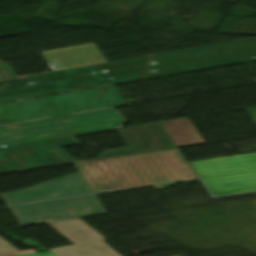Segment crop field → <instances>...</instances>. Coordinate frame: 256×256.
I'll return each mask as SVG.
<instances>
[{
	"label": "crop field",
	"instance_id": "obj_1",
	"mask_svg": "<svg viewBox=\"0 0 256 256\" xmlns=\"http://www.w3.org/2000/svg\"><path fill=\"white\" fill-rule=\"evenodd\" d=\"M218 33L256 35V19L226 18ZM161 56H166L162 59ZM256 60V38L0 81V102ZM183 61V64L178 62Z\"/></svg>",
	"mask_w": 256,
	"mask_h": 256
},
{
	"label": "crop field",
	"instance_id": "obj_2",
	"mask_svg": "<svg viewBox=\"0 0 256 256\" xmlns=\"http://www.w3.org/2000/svg\"><path fill=\"white\" fill-rule=\"evenodd\" d=\"M75 166L94 193L196 177L177 149Z\"/></svg>",
	"mask_w": 256,
	"mask_h": 256
},
{
	"label": "crop field",
	"instance_id": "obj_3",
	"mask_svg": "<svg viewBox=\"0 0 256 256\" xmlns=\"http://www.w3.org/2000/svg\"><path fill=\"white\" fill-rule=\"evenodd\" d=\"M124 104L115 85L0 105V125Z\"/></svg>",
	"mask_w": 256,
	"mask_h": 256
},
{
	"label": "crop field",
	"instance_id": "obj_4",
	"mask_svg": "<svg viewBox=\"0 0 256 256\" xmlns=\"http://www.w3.org/2000/svg\"><path fill=\"white\" fill-rule=\"evenodd\" d=\"M81 133L114 128L116 125L122 124L125 120L118 114V112L112 109L92 111L80 114H74L65 116ZM59 118L74 134L80 133L73 125H71L64 117ZM52 120L67 134L72 133L57 119ZM52 128H50L43 120L27 122L28 126L35 129L42 135L24 126V123L7 125L0 127V145L17 144L41 139H48L60 136H66L50 119L45 120ZM24 124V125H23ZM3 127L7 128L20 138L16 137ZM12 138L16 139L13 140Z\"/></svg>",
	"mask_w": 256,
	"mask_h": 256
},
{
	"label": "crop field",
	"instance_id": "obj_5",
	"mask_svg": "<svg viewBox=\"0 0 256 256\" xmlns=\"http://www.w3.org/2000/svg\"><path fill=\"white\" fill-rule=\"evenodd\" d=\"M189 165L214 196L256 190V153L192 162Z\"/></svg>",
	"mask_w": 256,
	"mask_h": 256
},
{
	"label": "crop field",
	"instance_id": "obj_6",
	"mask_svg": "<svg viewBox=\"0 0 256 256\" xmlns=\"http://www.w3.org/2000/svg\"><path fill=\"white\" fill-rule=\"evenodd\" d=\"M128 147L104 150L98 157L202 143L189 118L118 130ZM164 139H160L158 135Z\"/></svg>",
	"mask_w": 256,
	"mask_h": 256
},
{
	"label": "crop field",
	"instance_id": "obj_7",
	"mask_svg": "<svg viewBox=\"0 0 256 256\" xmlns=\"http://www.w3.org/2000/svg\"><path fill=\"white\" fill-rule=\"evenodd\" d=\"M21 226L105 214L96 195L9 207Z\"/></svg>",
	"mask_w": 256,
	"mask_h": 256
},
{
	"label": "crop field",
	"instance_id": "obj_8",
	"mask_svg": "<svg viewBox=\"0 0 256 256\" xmlns=\"http://www.w3.org/2000/svg\"><path fill=\"white\" fill-rule=\"evenodd\" d=\"M80 144L73 137L53 140L48 142L24 145L31 153L45 162L47 165L74 162L60 147ZM15 158L24 164L22 165ZM44 166L21 146L0 149V172L27 169Z\"/></svg>",
	"mask_w": 256,
	"mask_h": 256
},
{
	"label": "crop field",
	"instance_id": "obj_9",
	"mask_svg": "<svg viewBox=\"0 0 256 256\" xmlns=\"http://www.w3.org/2000/svg\"><path fill=\"white\" fill-rule=\"evenodd\" d=\"M75 245L52 248L59 256H121L96 230L80 219L47 223Z\"/></svg>",
	"mask_w": 256,
	"mask_h": 256
},
{
	"label": "crop field",
	"instance_id": "obj_10",
	"mask_svg": "<svg viewBox=\"0 0 256 256\" xmlns=\"http://www.w3.org/2000/svg\"><path fill=\"white\" fill-rule=\"evenodd\" d=\"M79 172L18 191L0 193L6 205L91 194Z\"/></svg>",
	"mask_w": 256,
	"mask_h": 256
},
{
	"label": "crop field",
	"instance_id": "obj_11",
	"mask_svg": "<svg viewBox=\"0 0 256 256\" xmlns=\"http://www.w3.org/2000/svg\"><path fill=\"white\" fill-rule=\"evenodd\" d=\"M41 55L52 71L106 62L94 43L42 52Z\"/></svg>",
	"mask_w": 256,
	"mask_h": 256
},
{
	"label": "crop field",
	"instance_id": "obj_12",
	"mask_svg": "<svg viewBox=\"0 0 256 256\" xmlns=\"http://www.w3.org/2000/svg\"><path fill=\"white\" fill-rule=\"evenodd\" d=\"M34 252L36 251L32 249L18 251L8 242L0 238V256L18 255V254H26V253H34Z\"/></svg>",
	"mask_w": 256,
	"mask_h": 256
},
{
	"label": "crop field",
	"instance_id": "obj_13",
	"mask_svg": "<svg viewBox=\"0 0 256 256\" xmlns=\"http://www.w3.org/2000/svg\"><path fill=\"white\" fill-rule=\"evenodd\" d=\"M17 78L7 63L0 61V80Z\"/></svg>",
	"mask_w": 256,
	"mask_h": 256
},
{
	"label": "crop field",
	"instance_id": "obj_14",
	"mask_svg": "<svg viewBox=\"0 0 256 256\" xmlns=\"http://www.w3.org/2000/svg\"><path fill=\"white\" fill-rule=\"evenodd\" d=\"M248 112L249 116L253 120L254 124L256 125V107L255 108H248L246 109Z\"/></svg>",
	"mask_w": 256,
	"mask_h": 256
},
{
	"label": "crop field",
	"instance_id": "obj_15",
	"mask_svg": "<svg viewBox=\"0 0 256 256\" xmlns=\"http://www.w3.org/2000/svg\"><path fill=\"white\" fill-rule=\"evenodd\" d=\"M18 256H54V255L49 251H47L42 253H34V254H26V255H18Z\"/></svg>",
	"mask_w": 256,
	"mask_h": 256
}]
</instances>
